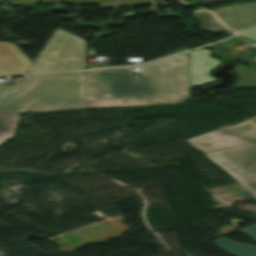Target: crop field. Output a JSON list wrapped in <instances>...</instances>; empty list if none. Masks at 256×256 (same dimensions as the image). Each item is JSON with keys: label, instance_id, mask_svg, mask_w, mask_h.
<instances>
[{"label": "crop field", "instance_id": "8a807250", "mask_svg": "<svg viewBox=\"0 0 256 256\" xmlns=\"http://www.w3.org/2000/svg\"><path fill=\"white\" fill-rule=\"evenodd\" d=\"M87 71L86 108L181 103L189 98L188 53L140 67Z\"/></svg>", "mask_w": 256, "mask_h": 256}, {"label": "crop field", "instance_id": "ac0d7876", "mask_svg": "<svg viewBox=\"0 0 256 256\" xmlns=\"http://www.w3.org/2000/svg\"><path fill=\"white\" fill-rule=\"evenodd\" d=\"M86 72L35 75L0 84V114L85 108Z\"/></svg>", "mask_w": 256, "mask_h": 256}, {"label": "crop field", "instance_id": "34b2d1b8", "mask_svg": "<svg viewBox=\"0 0 256 256\" xmlns=\"http://www.w3.org/2000/svg\"><path fill=\"white\" fill-rule=\"evenodd\" d=\"M86 68V42L57 28L29 73Z\"/></svg>", "mask_w": 256, "mask_h": 256}, {"label": "crop field", "instance_id": "412701ff", "mask_svg": "<svg viewBox=\"0 0 256 256\" xmlns=\"http://www.w3.org/2000/svg\"><path fill=\"white\" fill-rule=\"evenodd\" d=\"M205 155L256 197V143Z\"/></svg>", "mask_w": 256, "mask_h": 256}, {"label": "crop field", "instance_id": "f4fd0767", "mask_svg": "<svg viewBox=\"0 0 256 256\" xmlns=\"http://www.w3.org/2000/svg\"><path fill=\"white\" fill-rule=\"evenodd\" d=\"M203 153L256 142V121L252 118L235 125L187 140Z\"/></svg>", "mask_w": 256, "mask_h": 256}, {"label": "crop field", "instance_id": "dd49c442", "mask_svg": "<svg viewBox=\"0 0 256 256\" xmlns=\"http://www.w3.org/2000/svg\"><path fill=\"white\" fill-rule=\"evenodd\" d=\"M231 30L256 26V3L213 11Z\"/></svg>", "mask_w": 256, "mask_h": 256}, {"label": "crop field", "instance_id": "e52e79f7", "mask_svg": "<svg viewBox=\"0 0 256 256\" xmlns=\"http://www.w3.org/2000/svg\"><path fill=\"white\" fill-rule=\"evenodd\" d=\"M209 52L201 49L189 53L190 87L215 80L209 73L220 61L210 58Z\"/></svg>", "mask_w": 256, "mask_h": 256}, {"label": "crop field", "instance_id": "d8731c3e", "mask_svg": "<svg viewBox=\"0 0 256 256\" xmlns=\"http://www.w3.org/2000/svg\"><path fill=\"white\" fill-rule=\"evenodd\" d=\"M31 64L15 45L0 42V75L25 74Z\"/></svg>", "mask_w": 256, "mask_h": 256}, {"label": "crop field", "instance_id": "5a996713", "mask_svg": "<svg viewBox=\"0 0 256 256\" xmlns=\"http://www.w3.org/2000/svg\"><path fill=\"white\" fill-rule=\"evenodd\" d=\"M240 231L256 242V224ZM213 242L227 253L235 256H256V247L254 246L230 241L225 237Z\"/></svg>", "mask_w": 256, "mask_h": 256}, {"label": "crop field", "instance_id": "3316defc", "mask_svg": "<svg viewBox=\"0 0 256 256\" xmlns=\"http://www.w3.org/2000/svg\"><path fill=\"white\" fill-rule=\"evenodd\" d=\"M244 44H246L244 40L239 38H233L213 46L216 48H219L220 53L226 57L245 60L251 57L252 55L249 52L234 48L235 46L244 45Z\"/></svg>", "mask_w": 256, "mask_h": 256}, {"label": "crop field", "instance_id": "28ad6ade", "mask_svg": "<svg viewBox=\"0 0 256 256\" xmlns=\"http://www.w3.org/2000/svg\"><path fill=\"white\" fill-rule=\"evenodd\" d=\"M192 17L198 22L202 23L201 29L210 33H220L229 31L225 28L212 14L203 11L195 10Z\"/></svg>", "mask_w": 256, "mask_h": 256}, {"label": "crop field", "instance_id": "d1516ede", "mask_svg": "<svg viewBox=\"0 0 256 256\" xmlns=\"http://www.w3.org/2000/svg\"><path fill=\"white\" fill-rule=\"evenodd\" d=\"M19 117L20 114L0 115V143L14 134Z\"/></svg>", "mask_w": 256, "mask_h": 256}, {"label": "crop field", "instance_id": "22f410ed", "mask_svg": "<svg viewBox=\"0 0 256 256\" xmlns=\"http://www.w3.org/2000/svg\"><path fill=\"white\" fill-rule=\"evenodd\" d=\"M235 72L239 78L235 89L256 88V69H246L243 66H237Z\"/></svg>", "mask_w": 256, "mask_h": 256}, {"label": "crop field", "instance_id": "cbeb9de0", "mask_svg": "<svg viewBox=\"0 0 256 256\" xmlns=\"http://www.w3.org/2000/svg\"><path fill=\"white\" fill-rule=\"evenodd\" d=\"M52 2H63V3H115L120 2L119 0H51Z\"/></svg>", "mask_w": 256, "mask_h": 256}, {"label": "crop field", "instance_id": "5142ce71", "mask_svg": "<svg viewBox=\"0 0 256 256\" xmlns=\"http://www.w3.org/2000/svg\"><path fill=\"white\" fill-rule=\"evenodd\" d=\"M239 36L245 38V39H248L252 42L255 43V45L252 47V49H255L256 50V30H253V31H249V32H246V33H243V34H240ZM256 60V55L255 57L253 58Z\"/></svg>", "mask_w": 256, "mask_h": 256}, {"label": "crop field", "instance_id": "d9b57169", "mask_svg": "<svg viewBox=\"0 0 256 256\" xmlns=\"http://www.w3.org/2000/svg\"><path fill=\"white\" fill-rule=\"evenodd\" d=\"M209 47L215 50V54H216L218 57L224 59L225 61H232L231 59H227V58L223 57L222 55H220V54L217 52V50H216L215 48H213V47H211V46H209Z\"/></svg>", "mask_w": 256, "mask_h": 256}, {"label": "crop field", "instance_id": "733c2abd", "mask_svg": "<svg viewBox=\"0 0 256 256\" xmlns=\"http://www.w3.org/2000/svg\"><path fill=\"white\" fill-rule=\"evenodd\" d=\"M245 63V62H244ZM247 64H249V63H247ZM249 67L250 68H256V66H254V65H252V64H249Z\"/></svg>", "mask_w": 256, "mask_h": 256}, {"label": "crop field", "instance_id": "4a817a6b", "mask_svg": "<svg viewBox=\"0 0 256 256\" xmlns=\"http://www.w3.org/2000/svg\"><path fill=\"white\" fill-rule=\"evenodd\" d=\"M125 1H132V0H121V2H125Z\"/></svg>", "mask_w": 256, "mask_h": 256}, {"label": "crop field", "instance_id": "bc2a9ffb", "mask_svg": "<svg viewBox=\"0 0 256 256\" xmlns=\"http://www.w3.org/2000/svg\"><path fill=\"white\" fill-rule=\"evenodd\" d=\"M255 118H256V117H255ZM255 118H254V119H255Z\"/></svg>", "mask_w": 256, "mask_h": 256}]
</instances>
